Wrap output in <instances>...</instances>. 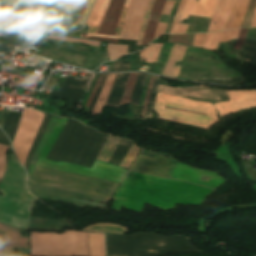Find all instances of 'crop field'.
<instances>
[{
	"label": "crop field",
	"mask_w": 256,
	"mask_h": 256,
	"mask_svg": "<svg viewBox=\"0 0 256 256\" xmlns=\"http://www.w3.org/2000/svg\"><path fill=\"white\" fill-rule=\"evenodd\" d=\"M211 191L186 182L129 171L117 188L112 209L120 211L124 207L141 212L147 202L167 210L174 208L177 203L200 204Z\"/></svg>",
	"instance_id": "8a807250"
},
{
	"label": "crop field",
	"mask_w": 256,
	"mask_h": 256,
	"mask_svg": "<svg viewBox=\"0 0 256 256\" xmlns=\"http://www.w3.org/2000/svg\"><path fill=\"white\" fill-rule=\"evenodd\" d=\"M228 93L230 101L214 104L220 117L239 110L256 108V90L228 91ZM154 109L161 119L206 129L218 121L212 104L167 94H157Z\"/></svg>",
	"instance_id": "ac0d7876"
},
{
	"label": "crop field",
	"mask_w": 256,
	"mask_h": 256,
	"mask_svg": "<svg viewBox=\"0 0 256 256\" xmlns=\"http://www.w3.org/2000/svg\"><path fill=\"white\" fill-rule=\"evenodd\" d=\"M107 135L69 119L46 159L91 167Z\"/></svg>",
	"instance_id": "34b2d1b8"
},
{
	"label": "crop field",
	"mask_w": 256,
	"mask_h": 256,
	"mask_svg": "<svg viewBox=\"0 0 256 256\" xmlns=\"http://www.w3.org/2000/svg\"><path fill=\"white\" fill-rule=\"evenodd\" d=\"M107 256H159L170 252L201 253L183 236L162 237L153 233L130 236L106 234Z\"/></svg>",
	"instance_id": "412701ff"
},
{
	"label": "crop field",
	"mask_w": 256,
	"mask_h": 256,
	"mask_svg": "<svg viewBox=\"0 0 256 256\" xmlns=\"http://www.w3.org/2000/svg\"><path fill=\"white\" fill-rule=\"evenodd\" d=\"M0 191L5 195L0 196V222L26 229L34 197L26 189L25 170L14 160L12 154Z\"/></svg>",
	"instance_id": "f4fd0767"
},
{
	"label": "crop field",
	"mask_w": 256,
	"mask_h": 256,
	"mask_svg": "<svg viewBox=\"0 0 256 256\" xmlns=\"http://www.w3.org/2000/svg\"><path fill=\"white\" fill-rule=\"evenodd\" d=\"M104 256V238L102 234L83 233L72 230L63 234L30 233L31 256Z\"/></svg>",
	"instance_id": "dd49c442"
},
{
	"label": "crop field",
	"mask_w": 256,
	"mask_h": 256,
	"mask_svg": "<svg viewBox=\"0 0 256 256\" xmlns=\"http://www.w3.org/2000/svg\"><path fill=\"white\" fill-rule=\"evenodd\" d=\"M34 184L75 191L109 200L117 183L35 165Z\"/></svg>",
	"instance_id": "e52e79f7"
},
{
	"label": "crop field",
	"mask_w": 256,
	"mask_h": 256,
	"mask_svg": "<svg viewBox=\"0 0 256 256\" xmlns=\"http://www.w3.org/2000/svg\"><path fill=\"white\" fill-rule=\"evenodd\" d=\"M130 0H97L86 24L89 31H81V37L118 42L121 23ZM111 18L114 20L111 21Z\"/></svg>",
	"instance_id": "d8731c3e"
},
{
	"label": "crop field",
	"mask_w": 256,
	"mask_h": 256,
	"mask_svg": "<svg viewBox=\"0 0 256 256\" xmlns=\"http://www.w3.org/2000/svg\"><path fill=\"white\" fill-rule=\"evenodd\" d=\"M67 120H68L67 118L59 119L49 140L47 141L40 156L38 157L36 164L63 170V171L89 175V176L119 183V181L127 172V169H123L99 160H95L91 169L84 168L78 165L69 164L62 161L60 163H55V162L44 160L49 150L51 149L52 145L54 144L55 140L57 139L58 135L60 134L61 130L63 129L64 125L66 124Z\"/></svg>",
	"instance_id": "5a996713"
},
{
	"label": "crop field",
	"mask_w": 256,
	"mask_h": 256,
	"mask_svg": "<svg viewBox=\"0 0 256 256\" xmlns=\"http://www.w3.org/2000/svg\"><path fill=\"white\" fill-rule=\"evenodd\" d=\"M43 117L44 114L38 111L26 108L23 111L22 118L18 124L13 140V148L16 157L23 166L30 145L39 129Z\"/></svg>",
	"instance_id": "3316defc"
},
{
	"label": "crop field",
	"mask_w": 256,
	"mask_h": 256,
	"mask_svg": "<svg viewBox=\"0 0 256 256\" xmlns=\"http://www.w3.org/2000/svg\"><path fill=\"white\" fill-rule=\"evenodd\" d=\"M148 1L149 0H131L127 8L120 38L137 39L142 15ZM128 47L129 45L122 46L109 43L107 49L109 60H115L127 54Z\"/></svg>",
	"instance_id": "28ad6ade"
},
{
	"label": "crop field",
	"mask_w": 256,
	"mask_h": 256,
	"mask_svg": "<svg viewBox=\"0 0 256 256\" xmlns=\"http://www.w3.org/2000/svg\"><path fill=\"white\" fill-rule=\"evenodd\" d=\"M176 160L161 156L150 158L140 155L131 170L150 173L154 175L171 177Z\"/></svg>",
	"instance_id": "d1516ede"
},
{
	"label": "crop field",
	"mask_w": 256,
	"mask_h": 256,
	"mask_svg": "<svg viewBox=\"0 0 256 256\" xmlns=\"http://www.w3.org/2000/svg\"><path fill=\"white\" fill-rule=\"evenodd\" d=\"M203 175L212 177L209 183L199 181ZM171 178L193 182L213 189L224 182V180L214 172L208 170H195L179 162L177 163Z\"/></svg>",
	"instance_id": "22f410ed"
},
{
	"label": "crop field",
	"mask_w": 256,
	"mask_h": 256,
	"mask_svg": "<svg viewBox=\"0 0 256 256\" xmlns=\"http://www.w3.org/2000/svg\"><path fill=\"white\" fill-rule=\"evenodd\" d=\"M232 2L233 0H217L207 32L221 31L224 29ZM213 22H216V25Z\"/></svg>",
	"instance_id": "cbeb9de0"
},
{
	"label": "crop field",
	"mask_w": 256,
	"mask_h": 256,
	"mask_svg": "<svg viewBox=\"0 0 256 256\" xmlns=\"http://www.w3.org/2000/svg\"><path fill=\"white\" fill-rule=\"evenodd\" d=\"M215 2L216 0H199L196 3L195 0H187L181 18L187 19L188 15L211 18Z\"/></svg>",
	"instance_id": "5142ce71"
},
{
	"label": "crop field",
	"mask_w": 256,
	"mask_h": 256,
	"mask_svg": "<svg viewBox=\"0 0 256 256\" xmlns=\"http://www.w3.org/2000/svg\"><path fill=\"white\" fill-rule=\"evenodd\" d=\"M18 231L0 224V246L27 248V238H23Z\"/></svg>",
	"instance_id": "d9b57169"
},
{
	"label": "crop field",
	"mask_w": 256,
	"mask_h": 256,
	"mask_svg": "<svg viewBox=\"0 0 256 256\" xmlns=\"http://www.w3.org/2000/svg\"><path fill=\"white\" fill-rule=\"evenodd\" d=\"M250 0H234L224 30L240 27Z\"/></svg>",
	"instance_id": "733c2abd"
},
{
	"label": "crop field",
	"mask_w": 256,
	"mask_h": 256,
	"mask_svg": "<svg viewBox=\"0 0 256 256\" xmlns=\"http://www.w3.org/2000/svg\"><path fill=\"white\" fill-rule=\"evenodd\" d=\"M165 1L166 0H155L154 5L151 9V13L149 16V20L146 26V30L141 45H146L153 40L157 23L162 13ZM156 12H158L157 15L155 14ZM154 16H156V18H154Z\"/></svg>",
	"instance_id": "4a817a6b"
},
{
	"label": "crop field",
	"mask_w": 256,
	"mask_h": 256,
	"mask_svg": "<svg viewBox=\"0 0 256 256\" xmlns=\"http://www.w3.org/2000/svg\"><path fill=\"white\" fill-rule=\"evenodd\" d=\"M186 46L174 44L170 52L169 58L162 72L163 75L177 78L179 75L180 65L174 67V63L182 60V57L186 51Z\"/></svg>",
	"instance_id": "bc2a9ffb"
},
{
	"label": "crop field",
	"mask_w": 256,
	"mask_h": 256,
	"mask_svg": "<svg viewBox=\"0 0 256 256\" xmlns=\"http://www.w3.org/2000/svg\"><path fill=\"white\" fill-rule=\"evenodd\" d=\"M58 121V118H52L46 132L44 133L32 159H31V162H30V166H29V172H28V188L30 190V186H31V180H32V175H33V169H34V162L37 158V156L39 155V153L41 152L43 146L45 145L46 141L48 140L52 130L54 129L56 123Z\"/></svg>",
	"instance_id": "214f88e0"
},
{
	"label": "crop field",
	"mask_w": 256,
	"mask_h": 256,
	"mask_svg": "<svg viewBox=\"0 0 256 256\" xmlns=\"http://www.w3.org/2000/svg\"><path fill=\"white\" fill-rule=\"evenodd\" d=\"M174 2L175 1L168 0L162 14L169 15ZM185 2H186V0H182L181 3H180V6H179V9L177 11V14H176V17H175V20H174V23H173V26H172V29H171L170 33H174L175 30H176V27H177L178 22H179L180 17H181L183 7L185 5ZM166 25L167 24H163V23L158 24V28H157V31H156V34H155V38L163 34Z\"/></svg>",
	"instance_id": "92a150f3"
},
{
	"label": "crop field",
	"mask_w": 256,
	"mask_h": 256,
	"mask_svg": "<svg viewBox=\"0 0 256 256\" xmlns=\"http://www.w3.org/2000/svg\"><path fill=\"white\" fill-rule=\"evenodd\" d=\"M114 76H115V74H110L107 76L106 81L104 83V86L102 88V91H101L98 101L93 109L92 114L97 115V114L101 113L102 107L105 104L108 94L110 92ZM100 99H102V101H100Z\"/></svg>",
	"instance_id": "dafd665d"
},
{
	"label": "crop field",
	"mask_w": 256,
	"mask_h": 256,
	"mask_svg": "<svg viewBox=\"0 0 256 256\" xmlns=\"http://www.w3.org/2000/svg\"><path fill=\"white\" fill-rule=\"evenodd\" d=\"M119 141L120 138L109 135L96 159L108 162Z\"/></svg>",
	"instance_id": "00972430"
},
{
	"label": "crop field",
	"mask_w": 256,
	"mask_h": 256,
	"mask_svg": "<svg viewBox=\"0 0 256 256\" xmlns=\"http://www.w3.org/2000/svg\"><path fill=\"white\" fill-rule=\"evenodd\" d=\"M131 145L132 142H129L125 139H121L119 145L117 146L112 157L110 158L109 163L119 166L120 162L124 158L125 154L129 150Z\"/></svg>",
	"instance_id": "a9b5d70f"
},
{
	"label": "crop field",
	"mask_w": 256,
	"mask_h": 256,
	"mask_svg": "<svg viewBox=\"0 0 256 256\" xmlns=\"http://www.w3.org/2000/svg\"><path fill=\"white\" fill-rule=\"evenodd\" d=\"M20 115L21 114L11 113L5 116L2 129L7 133L11 141H12L17 123L19 121Z\"/></svg>",
	"instance_id": "4177f3b9"
},
{
	"label": "crop field",
	"mask_w": 256,
	"mask_h": 256,
	"mask_svg": "<svg viewBox=\"0 0 256 256\" xmlns=\"http://www.w3.org/2000/svg\"><path fill=\"white\" fill-rule=\"evenodd\" d=\"M50 118H51V115H47V114L45 115L44 120H43V122L41 124V127L39 129V132H38V134H37V136H36V138L33 142V145H32V147H31V149H30V151L27 155L26 166H25V169L27 170V172H28V166H29L31 156H32V154H33V152H34V150H35V148H36V146H37V144H38V142H39V140H40L47 124H48V122H49V120H50Z\"/></svg>",
	"instance_id": "730fd06b"
},
{
	"label": "crop field",
	"mask_w": 256,
	"mask_h": 256,
	"mask_svg": "<svg viewBox=\"0 0 256 256\" xmlns=\"http://www.w3.org/2000/svg\"><path fill=\"white\" fill-rule=\"evenodd\" d=\"M222 33L223 32L207 34L202 48L216 50Z\"/></svg>",
	"instance_id": "eef30255"
},
{
	"label": "crop field",
	"mask_w": 256,
	"mask_h": 256,
	"mask_svg": "<svg viewBox=\"0 0 256 256\" xmlns=\"http://www.w3.org/2000/svg\"><path fill=\"white\" fill-rule=\"evenodd\" d=\"M136 76V73H130L126 88L122 96V102L120 105H124L129 102Z\"/></svg>",
	"instance_id": "ae1a2a85"
},
{
	"label": "crop field",
	"mask_w": 256,
	"mask_h": 256,
	"mask_svg": "<svg viewBox=\"0 0 256 256\" xmlns=\"http://www.w3.org/2000/svg\"><path fill=\"white\" fill-rule=\"evenodd\" d=\"M93 1L94 0H89L88 6H87L86 11H85V14H84V16H83V18L81 20L82 23L84 22V20H85L87 14L89 12V9H90ZM83 2H84V0H67V3H66L64 8L74 9V10L80 11Z\"/></svg>",
	"instance_id": "d3111659"
},
{
	"label": "crop field",
	"mask_w": 256,
	"mask_h": 256,
	"mask_svg": "<svg viewBox=\"0 0 256 256\" xmlns=\"http://www.w3.org/2000/svg\"><path fill=\"white\" fill-rule=\"evenodd\" d=\"M139 151H140V148H138L133 143V145L131 146L130 150L126 154L125 158L121 162L120 166L129 169L131 163L133 162L134 158L136 157V155L138 154Z\"/></svg>",
	"instance_id": "750c4746"
},
{
	"label": "crop field",
	"mask_w": 256,
	"mask_h": 256,
	"mask_svg": "<svg viewBox=\"0 0 256 256\" xmlns=\"http://www.w3.org/2000/svg\"><path fill=\"white\" fill-rule=\"evenodd\" d=\"M195 34L170 35L168 42L192 45Z\"/></svg>",
	"instance_id": "bd1437ed"
},
{
	"label": "crop field",
	"mask_w": 256,
	"mask_h": 256,
	"mask_svg": "<svg viewBox=\"0 0 256 256\" xmlns=\"http://www.w3.org/2000/svg\"><path fill=\"white\" fill-rule=\"evenodd\" d=\"M14 10H9L5 8H0V24H11L14 16H15Z\"/></svg>",
	"instance_id": "1d83c4d3"
},
{
	"label": "crop field",
	"mask_w": 256,
	"mask_h": 256,
	"mask_svg": "<svg viewBox=\"0 0 256 256\" xmlns=\"http://www.w3.org/2000/svg\"><path fill=\"white\" fill-rule=\"evenodd\" d=\"M256 7V0H251L246 16L241 27H249Z\"/></svg>",
	"instance_id": "120bbe31"
},
{
	"label": "crop field",
	"mask_w": 256,
	"mask_h": 256,
	"mask_svg": "<svg viewBox=\"0 0 256 256\" xmlns=\"http://www.w3.org/2000/svg\"><path fill=\"white\" fill-rule=\"evenodd\" d=\"M8 150V147L0 145V177L2 176L6 162H5V154Z\"/></svg>",
	"instance_id": "d32e631a"
},
{
	"label": "crop field",
	"mask_w": 256,
	"mask_h": 256,
	"mask_svg": "<svg viewBox=\"0 0 256 256\" xmlns=\"http://www.w3.org/2000/svg\"><path fill=\"white\" fill-rule=\"evenodd\" d=\"M239 31H240V29L224 32L220 42H227L231 39H236L237 36H238Z\"/></svg>",
	"instance_id": "5866460e"
},
{
	"label": "crop field",
	"mask_w": 256,
	"mask_h": 256,
	"mask_svg": "<svg viewBox=\"0 0 256 256\" xmlns=\"http://www.w3.org/2000/svg\"><path fill=\"white\" fill-rule=\"evenodd\" d=\"M48 39L51 40H61V41H70V42H81V43H85V44H89L91 43V41H87V40H80V39H74V38H67V37H61V36H55V35H51L50 37H47Z\"/></svg>",
	"instance_id": "028f5c9d"
},
{
	"label": "crop field",
	"mask_w": 256,
	"mask_h": 256,
	"mask_svg": "<svg viewBox=\"0 0 256 256\" xmlns=\"http://www.w3.org/2000/svg\"><path fill=\"white\" fill-rule=\"evenodd\" d=\"M247 30L248 29H241V31L239 33V36L237 38V42H236V44L234 46V49H238V50L241 49L242 43H243V41L245 39V36L247 34Z\"/></svg>",
	"instance_id": "e1f06a70"
},
{
	"label": "crop field",
	"mask_w": 256,
	"mask_h": 256,
	"mask_svg": "<svg viewBox=\"0 0 256 256\" xmlns=\"http://www.w3.org/2000/svg\"><path fill=\"white\" fill-rule=\"evenodd\" d=\"M102 76H103V74H100V75H99V77H98V79H97V81H96V84H95V86H94V88H93V90H92V92H91V95H90V97H89V99H88V101H87V103H86L85 106H87V107L90 106V104H91V102H92V100H93V97H94V95H95V93H96V90H97V88H98V86H99V84H100V81H101V79H102Z\"/></svg>",
	"instance_id": "0bd39190"
},
{
	"label": "crop field",
	"mask_w": 256,
	"mask_h": 256,
	"mask_svg": "<svg viewBox=\"0 0 256 256\" xmlns=\"http://www.w3.org/2000/svg\"><path fill=\"white\" fill-rule=\"evenodd\" d=\"M65 2H66V0H58V5H57V7H56V9H55V13H54V19H56V20H59L58 18L60 17V15H61V12H62V10H63V7H64V5H65Z\"/></svg>",
	"instance_id": "b80d0937"
},
{
	"label": "crop field",
	"mask_w": 256,
	"mask_h": 256,
	"mask_svg": "<svg viewBox=\"0 0 256 256\" xmlns=\"http://www.w3.org/2000/svg\"><path fill=\"white\" fill-rule=\"evenodd\" d=\"M153 79H154L153 77H150V81H149V85H148V89H147V93H146V97H145V101H144V105H143V113H142V116L145 115L146 106H147V102H148L150 90H151V87H152Z\"/></svg>",
	"instance_id": "c035e120"
},
{
	"label": "crop field",
	"mask_w": 256,
	"mask_h": 256,
	"mask_svg": "<svg viewBox=\"0 0 256 256\" xmlns=\"http://www.w3.org/2000/svg\"><path fill=\"white\" fill-rule=\"evenodd\" d=\"M205 35L206 34H196L193 46L201 48Z\"/></svg>",
	"instance_id": "c21b1889"
},
{
	"label": "crop field",
	"mask_w": 256,
	"mask_h": 256,
	"mask_svg": "<svg viewBox=\"0 0 256 256\" xmlns=\"http://www.w3.org/2000/svg\"><path fill=\"white\" fill-rule=\"evenodd\" d=\"M156 44H149L146 61L150 62Z\"/></svg>",
	"instance_id": "03da06ac"
},
{
	"label": "crop field",
	"mask_w": 256,
	"mask_h": 256,
	"mask_svg": "<svg viewBox=\"0 0 256 256\" xmlns=\"http://www.w3.org/2000/svg\"><path fill=\"white\" fill-rule=\"evenodd\" d=\"M161 45H162V44H157V45H156V48H155V51H154L153 58H152V61H151V62H156V61H157V58H158V55H159V52H160Z\"/></svg>",
	"instance_id": "b54c1fbb"
},
{
	"label": "crop field",
	"mask_w": 256,
	"mask_h": 256,
	"mask_svg": "<svg viewBox=\"0 0 256 256\" xmlns=\"http://www.w3.org/2000/svg\"><path fill=\"white\" fill-rule=\"evenodd\" d=\"M29 28L30 29H34V30H39V31L47 32V33L55 32V30L46 29V28H42V27H37V26H33V25H30Z\"/></svg>",
	"instance_id": "5d738f31"
},
{
	"label": "crop field",
	"mask_w": 256,
	"mask_h": 256,
	"mask_svg": "<svg viewBox=\"0 0 256 256\" xmlns=\"http://www.w3.org/2000/svg\"><path fill=\"white\" fill-rule=\"evenodd\" d=\"M188 25L179 24L176 33H185Z\"/></svg>",
	"instance_id": "d23c7cc5"
},
{
	"label": "crop field",
	"mask_w": 256,
	"mask_h": 256,
	"mask_svg": "<svg viewBox=\"0 0 256 256\" xmlns=\"http://www.w3.org/2000/svg\"><path fill=\"white\" fill-rule=\"evenodd\" d=\"M0 142L10 145L8 139L6 138V136L3 134L1 130H0Z\"/></svg>",
	"instance_id": "425ffa30"
},
{
	"label": "crop field",
	"mask_w": 256,
	"mask_h": 256,
	"mask_svg": "<svg viewBox=\"0 0 256 256\" xmlns=\"http://www.w3.org/2000/svg\"><path fill=\"white\" fill-rule=\"evenodd\" d=\"M87 3H88V0H85V2H84V4H83V7H82V10H81V13H80V15H79V17H78V19H77V21H76L75 24H78V23H79V21H80L82 15H83V13H84V11H85V8H86Z\"/></svg>",
	"instance_id": "25e5ab78"
},
{
	"label": "crop field",
	"mask_w": 256,
	"mask_h": 256,
	"mask_svg": "<svg viewBox=\"0 0 256 256\" xmlns=\"http://www.w3.org/2000/svg\"><path fill=\"white\" fill-rule=\"evenodd\" d=\"M13 25H17V26H21V27L27 28L29 24L14 21Z\"/></svg>",
	"instance_id": "73cf0c24"
},
{
	"label": "crop field",
	"mask_w": 256,
	"mask_h": 256,
	"mask_svg": "<svg viewBox=\"0 0 256 256\" xmlns=\"http://www.w3.org/2000/svg\"><path fill=\"white\" fill-rule=\"evenodd\" d=\"M147 48H144L142 51H140L141 60L145 59Z\"/></svg>",
	"instance_id": "89e229c0"
},
{
	"label": "crop field",
	"mask_w": 256,
	"mask_h": 256,
	"mask_svg": "<svg viewBox=\"0 0 256 256\" xmlns=\"http://www.w3.org/2000/svg\"><path fill=\"white\" fill-rule=\"evenodd\" d=\"M250 27H256V10Z\"/></svg>",
	"instance_id": "1f2cbd36"
},
{
	"label": "crop field",
	"mask_w": 256,
	"mask_h": 256,
	"mask_svg": "<svg viewBox=\"0 0 256 256\" xmlns=\"http://www.w3.org/2000/svg\"><path fill=\"white\" fill-rule=\"evenodd\" d=\"M100 42L98 41H92V46H98Z\"/></svg>",
	"instance_id": "dbb93151"
},
{
	"label": "crop field",
	"mask_w": 256,
	"mask_h": 256,
	"mask_svg": "<svg viewBox=\"0 0 256 256\" xmlns=\"http://www.w3.org/2000/svg\"><path fill=\"white\" fill-rule=\"evenodd\" d=\"M0 256H2V247H0Z\"/></svg>",
	"instance_id": "0fb4a251"
}]
</instances>
